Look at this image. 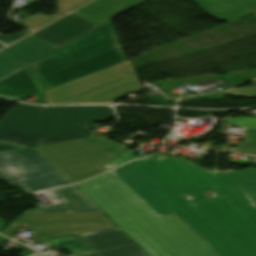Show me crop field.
<instances>
[{
  "instance_id": "obj_1",
  "label": "crop field",
  "mask_w": 256,
  "mask_h": 256,
  "mask_svg": "<svg viewBox=\"0 0 256 256\" xmlns=\"http://www.w3.org/2000/svg\"><path fill=\"white\" fill-rule=\"evenodd\" d=\"M114 173L157 215L176 212L219 256H256V206L220 173L160 155Z\"/></svg>"
},
{
  "instance_id": "obj_2",
  "label": "crop field",
  "mask_w": 256,
  "mask_h": 256,
  "mask_svg": "<svg viewBox=\"0 0 256 256\" xmlns=\"http://www.w3.org/2000/svg\"><path fill=\"white\" fill-rule=\"evenodd\" d=\"M76 187L149 256H218L176 213L158 217L111 172Z\"/></svg>"
},
{
  "instance_id": "obj_3",
  "label": "crop field",
  "mask_w": 256,
  "mask_h": 256,
  "mask_svg": "<svg viewBox=\"0 0 256 256\" xmlns=\"http://www.w3.org/2000/svg\"><path fill=\"white\" fill-rule=\"evenodd\" d=\"M126 60L109 21L29 65L48 91Z\"/></svg>"
},
{
  "instance_id": "obj_4",
  "label": "crop field",
  "mask_w": 256,
  "mask_h": 256,
  "mask_svg": "<svg viewBox=\"0 0 256 256\" xmlns=\"http://www.w3.org/2000/svg\"><path fill=\"white\" fill-rule=\"evenodd\" d=\"M140 88L129 60L48 91V104H111Z\"/></svg>"
},
{
  "instance_id": "obj_5",
  "label": "crop field",
  "mask_w": 256,
  "mask_h": 256,
  "mask_svg": "<svg viewBox=\"0 0 256 256\" xmlns=\"http://www.w3.org/2000/svg\"><path fill=\"white\" fill-rule=\"evenodd\" d=\"M36 149L72 184L108 171L101 166L125 150L96 137Z\"/></svg>"
},
{
  "instance_id": "obj_6",
  "label": "crop field",
  "mask_w": 256,
  "mask_h": 256,
  "mask_svg": "<svg viewBox=\"0 0 256 256\" xmlns=\"http://www.w3.org/2000/svg\"><path fill=\"white\" fill-rule=\"evenodd\" d=\"M0 180L29 193L71 184L36 149L0 153Z\"/></svg>"
},
{
  "instance_id": "obj_7",
  "label": "crop field",
  "mask_w": 256,
  "mask_h": 256,
  "mask_svg": "<svg viewBox=\"0 0 256 256\" xmlns=\"http://www.w3.org/2000/svg\"><path fill=\"white\" fill-rule=\"evenodd\" d=\"M107 218L103 214L22 215L1 234L8 236L24 227L34 233L36 243H43L55 237L115 228Z\"/></svg>"
},
{
  "instance_id": "obj_8",
  "label": "crop field",
  "mask_w": 256,
  "mask_h": 256,
  "mask_svg": "<svg viewBox=\"0 0 256 256\" xmlns=\"http://www.w3.org/2000/svg\"><path fill=\"white\" fill-rule=\"evenodd\" d=\"M50 132L38 145L71 141L94 135L85 127L87 123L114 118L111 107H49Z\"/></svg>"
},
{
  "instance_id": "obj_9",
  "label": "crop field",
  "mask_w": 256,
  "mask_h": 256,
  "mask_svg": "<svg viewBox=\"0 0 256 256\" xmlns=\"http://www.w3.org/2000/svg\"><path fill=\"white\" fill-rule=\"evenodd\" d=\"M48 109L19 104L0 122V140L33 147L47 132Z\"/></svg>"
},
{
  "instance_id": "obj_10",
  "label": "crop field",
  "mask_w": 256,
  "mask_h": 256,
  "mask_svg": "<svg viewBox=\"0 0 256 256\" xmlns=\"http://www.w3.org/2000/svg\"><path fill=\"white\" fill-rule=\"evenodd\" d=\"M78 236L90 251L69 256H146L118 228Z\"/></svg>"
},
{
  "instance_id": "obj_11",
  "label": "crop field",
  "mask_w": 256,
  "mask_h": 256,
  "mask_svg": "<svg viewBox=\"0 0 256 256\" xmlns=\"http://www.w3.org/2000/svg\"><path fill=\"white\" fill-rule=\"evenodd\" d=\"M57 47L32 36L0 51V78Z\"/></svg>"
},
{
  "instance_id": "obj_12",
  "label": "crop field",
  "mask_w": 256,
  "mask_h": 256,
  "mask_svg": "<svg viewBox=\"0 0 256 256\" xmlns=\"http://www.w3.org/2000/svg\"><path fill=\"white\" fill-rule=\"evenodd\" d=\"M96 27L71 14L32 36L59 47Z\"/></svg>"
},
{
  "instance_id": "obj_13",
  "label": "crop field",
  "mask_w": 256,
  "mask_h": 256,
  "mask_svg": "<svg viewBox=\"0 0 256 256\" xmlns=\"http://www.w3.org/2000/svg\"><path fill=\"white\" fill-rule=\"evenodd\" d=\"M43 93L36 77L27 66L0 79V97L22 101Z\"/></svg>"
},
{
  "instance_id": "obj_14",
  "label": "crop field",
  "mask_w": 256,
  "mask_h": 256,
  "mask_svg": "<svg viewBox=\"0 0 256 256\" xmlns=\"http://www.w3.org/2000/svg\"><path fill=\"white\" fill-rule=\"evenodd\" d=\"M64 203L27 211L24 214L101 213L74 186L47 192Z\"/></svg>"
},
{
  "instance_id": "obj_15",
  "label": "crop field",
  "mask_w": 256,
  "mask_h": 256,
  "mask_svg": "<svg viewBox=\"0 0 256 256\" xmlns=\"http://www.w3.org/2000/svg\"><path fill=\"white\" fill-rule=\"evenodd\" d=\"M140 3H143V1L96 0L73 13L100 26Z\"/></svg>"
},
{
  "instance_id": "obj_16",
  "label": "crop field",
  "mask_w": 256,
  "mask_h": 256,
  "mask_svg": "<svg viewBox=\"0 0 256 256\" xmlns=\"http://www.w3.org/2000/svg\"><path fill=\"white\" fill-rule=\"evenodd\" d=\"M210 15L232 22L256 12L255 0H192Z\"/></svg>"
},
{
  "instance_id": "obj_17",
  "label": "crop field",
  "mask_w": 256,
  "mask_h": 256,
  "mask_svg": "<svg viewBox=\"0 0 256 256\" xmlns=\"http://www.w3.org/2000/svg\"><path fill=\"white\" fill-rule=\"evenodd\" d=\"M222 175L240 187L246 196L256 205V168L224 173Z\"/></svg>"
},
{
  "instance_id": "obj_18",
  "label": "crop field",
  "mask_w": 256,
  "mask_h": 256,
  "mask_svg": "<svg viewBox=\"0 0 256 256\" xmlns=\"http://www.w3.org/2000/svg\"><path fill=\"white\" fill-rule=\"evenodd\" d=\"M50 242L58 249H68L70 254L85 251L73 236L51 239Z\"/></svg>"
},
{
  "instance_id": "obj_19",
  "label": "crop field",
  "mask_w": 256,
  "mask_h": 256,
  "mask_svg": "<svg viewBox=\"0 0 256 256\" xmlns=\"http://www.w3.org/2000/svg\"><path fill=\"white\" fill-rule=\"evenodd\" d=\"M245 132L247 133V137L244 140L245 142L242 143L238 149L225 150L256 155V129L245 128Z\"/></svg>"
},
{
  "instance_id": "obj_20",
  "label": "crop field",
  "mask_w": 256,
  "mask_h": 256,
  "mask_svg": "<svg viewBox=\"0 0 256 256\" xmlns=\"http://www.w3.org/2000/svg\"><path fill=\"white\" fill-rule=\"evenodd\" d=\"M54 19H56V13H54L50 16H45L41 13H37L29 18H26V19L20 21V22L27 25L30 29L36 30V29L48 24L49 22H51Z\"/></svg>"
},
{
  "instance_id": "obj_21",
  "label": "crop field",
  "mask_w": 256,
  "mask_h": 256,
  "mask_svg": "<svg viewBox=\"0 0 256 256\" xmlns=\"http://www.w3.org/2000/svg\"><path fill=\"white\" fill-rule=\"evenodd\" d=\"M135 154H136L135 151L126 150L123 153H121L120 155H118L117 157H115L113 160H111L110 162L105 164L103 167L111 170V169L121 165L124 162L130 161L132 159H137V157L134 156Z\"/></svg>"
},
{
  "instance_id": "obj_22",
  "label": "crop field",
  "mask_w": 256,
  "mask_h": 256,
  "mask_svg": "<svg viewBox=\"0 0 256 256\" xmlns=\"http://www.w3.org/2000/svg\"><path fill=\"white\" fill-rule=\"evenodd\" d=\"M88 0H56L57 17L67 13L68 10L86 2Z\"/></svg>"
},
{
  "instance_id": "obj_23",
  "label": "crop field",
  "mask_w": 256,
  "mask_h": 256,
  "mask_svg": "<svg viewBox=\"0 0 256 256\" xmlns=\"http://www.w3.org/2000/svg\"><path fill=\"white\" fill-rule=\"evenodd\" d=\"M224 122L231 125L256 128V118H230L224 120Z\"/></svg>"
},
{
  "instance_id": "obj_24",
  "label": "crop field",
  "mask_w": 256,
  "mask_h": 256,
  "mask_svg": "<svg viewBox=\"0 0 256 256\" xmlns=\"http://www.w3.org/2000/svg\"><path fill=\"white\" fill-rule=\"evenodd\" d=\"M252 82H253V86L233 89L226 93H229L235 96H246L250 98L256 97V81H252ZM232 91H235L236 93H232Z\"/></svg>"
},
{
  "instance_id": "obj_25",
  "label": "crop field",
  "mask_w": 256,
  "mask_h": 256,
  "mask_svg": "<svg viewBox=\"0 0 256 256\" xmlns=\"http://www.w3.org/2000/svg\"><path fill=\"white\" fill-rule=\"evenodd\" d=\"M31 32L30 30H27L23 33H18V34H15L13 36H9V37H5L3 35H0V41L4 42L5 44H9L21 37H23L24 35H26L27 33Z\"/></svg>"
},
{
  "instance_id": "obj_26",
  "label": "crop field",
  "mask_w": 256,
  "mask_h": 256,
  "mask_svg": "<svg viewBox=\"0 0 256 256\" xmlns=\"http://www.w3.org/2000/svg\"><path fill=\"white\" fill-rule=\"evenodd\" d=\"M20 148H29V147L10 144V143L0 141V151H8V150H14V149H20Z\"/></svg>"
},
{
  "instance_id": "obj_27",
  "label": "crop field",
  "mask_w": 256,
  "mask_h": 256,
  "mask_svg": "<svg viewBox=\"0 0 256 256\" xmlns=\"http://www.w3.org/2000/svg\"><path fill=\"white\" fill-rule=\"evenodd\" d=\"M74 237H75V239L84 247V249H85L86 251H88L87 247H86V246L84 245V243L79 239V237H78L77 235H75Z\"/></svg>"
},
{
  "instance_id": "obj_28",
  "label": "crop field",
  "mask_w": 256,
  "mask_h": 256,
  "mask_svg": "<svg viewBox=\"0 0 256 256\" xmlns=\"http://www.w3.org/2000/svg\"><path fill=\"white\" fill-rule=\"evenodd\" d=\"M5 225H6V223L0 221V229H1L3 226H5Z\"/></svg>"
},
{
  "instance_id": "obj_29",
  "label": "crop field",
  "mask_w": 256,
  "mask_h": 256,
  "mask_svg": "<svg viewBox=\"0 0 256 256\" xmlns=\"http://www.w3.org/2000/svg\"><path fill=\"white\" fill-rule=\"evenodd\" d=\"M4 47L2 44H0V48Z\"/></svg>"
},
{
  "instance_id": "obj_30",
  "label": "crop field",
  "mask_w": 256,
  "mask_h": 256,
  "mask_svg": "<svg viewBox=\"0 0 256 256\" xmlns=\"http://www.w3.org/2000/svg\"><path fill=\"white\" fill-rule=\"evenodd\" d=\"M256 15V13H254Z\"/></svg>"
}]
</instances>
